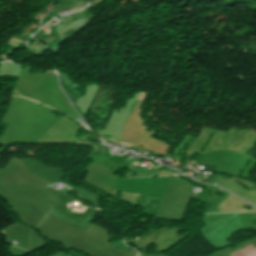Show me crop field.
<instances>
[{"label":"crop field","mask_w":256,"mask_h":256,"mask_svg":"<svg viewBox=\"0 0 256 256\" xmlns=\"http://www.w3.org/2000/svg\"><path fill=\"white\" fill-rule=\"evenodd\" d=\"M53 39H54V38H53ZM53 39H52V40H53ZM52 40H51V41H52ZM51 41H50V42H51Z\"/></svg>","instance_id":"2"},{"label":"crop field","mask_w":256,"mask_h":256,"mask_svg":"<svg viewBox=\"0 0 256 256\" xmlns=\"http://www.w3.org/2000/svg\"><path fill=\"white\" fill-rule=\"evenodd\" d=\"M121 144H125V145H129V146H131L130 144H126V143H122V142H120Z\"/></svg>","instance_id":"1"}]
</instances>
